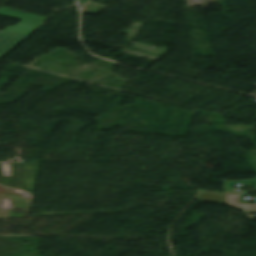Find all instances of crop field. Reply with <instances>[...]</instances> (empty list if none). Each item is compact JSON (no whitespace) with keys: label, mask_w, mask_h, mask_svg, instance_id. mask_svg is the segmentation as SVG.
<instances>
[{"label":"crop field","mask_w":256,"mask_h":256,"mask_svg":"<svg viewBox=\"0 0 256 256\" xmlns=\"http://www.w3.org/2000/svg\"><path fill=\"white\" fill-rule=\"evenodd\" d=\"M0 15L23 20L15 27H9L3 33H0V59L6 56L12 49H14L19 43L24 40L20 37L29 34L46 19L45 17L5 7L0 9Z\"/></svg>","instance_id":"8a807250"},{"label":"crop field","mask_w":256,"mask_h":256,"mask_svg":"<svg viewBox=\"0 0 256 256\" xmlns=\"http://www.w3.org/2000/svg\"><path fill=\"white\" fill-rule=\"evenodd\" d=\"M32 196L0 186V218L27 217Z\"/></svg>","instance_id":"ac0d7876"},{"label":"crop field","mask_w":256,"mask_h":256,"mask_svg":"<svg viewBox=\"0 0 256 256\" xmlns=\"http://www.w3.org/2000/svg\"><path fill=\"white\" fill-rule=\"evenodd\" d=\"M198 201L224 204V195L201 193Z\"/></svg>","instance_id":"34b2d1b8"},{"label":"crop field","mask_w":256,"mask_h":256,"mask_svg":"<svg viewBox=\"0 0 256 256\" xmlns=\"http://www.w3.org/2000/svg\"><path fill=\"white\" fill-rule=\"evenodd\" d=\"M239 194L234 195H226L225 205L229 207H233L235 209H244L246 208V204H238Z\"/></svg>","instance_id":"412701ff"}]
</instances>
